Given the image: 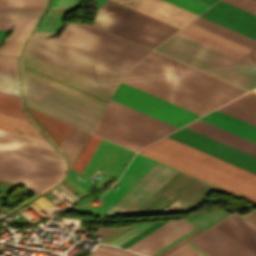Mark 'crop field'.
<instances>
[{
	"label": "crop field",
	"instance_id": "crop-field-9",
	"mask_svg": "<svg viewBox=\"0 0 256 256\" xmlns=\"http://www.w3.org/2000/svg\"><path fill=\"white\" fill-rule=\"evenodd\" d=\"M106 4L169 30L173 33L178 29L152 19L148 16L140 14L122 5L114 3L110 0ZM104 4L97 12L94 25L115 33L119 36L127 38L138 44L154 49L173 33L117 10L113 7Z\"/></svg>",
	"mask_w": 256,
	"mask_h": 256
},
{
	"label": "crop field",
	"instance_id": "crop-field-23",
	"mask_svg": "<svg viewBox=\"0 0 256 256\" xmlns=\"http://www.w3.org/2000/svg\"><path fill=\"white\" fill-rule=\"evenodd\" d=\"M191 23L256 50V41L198 17Z\"/></svg>",
	"mask_w": 256,
	"mask_h": 256
},
{
	"label": "crop field",
	"instance_id": "crop-field-12",
	"mask_svg": "<svg viewBox=\"0 0 256 256\" xmlns=\"http://www.w3.org/2000/svg\"><path fill=\"white\" fill-rule=\"evenodd\" d=\"M140 13L148 15L166 24L174 26L178 29L192 20L197 14L201 13L208 6L201 4L195 0H112Z\"/></svg>",
	"mask_w": 256,
	"mask_h": 256
},
{
	"label": "crop field",
	"instance_id": "crop-field-17",
	"mask_svg": "<svg viewBox=\"0 0 256 256\" xmlns=\"http://www.w3.org/2000/svg\"><path fill=\"white\" fill-rule=\"evenodd\" d=\"M194 227L185 220L177 221L132 250L150 256Z\"/></svg>",
	"mask_w": 256,
	"mask_h": 256
},
{
	"label": "crop field",
	"instance_id": "crop-field-10",
	"mask_svg": "<svg viewBox=\"0 0 256 256\" xmlns=\"http://www.w3.org/2000/svg\"><path fill=\"white\" fill-rule=\"evenodd\" d=\"M112 100L177 128L200 115L121 82Z\"/></svg>",
	"mask_w": 256,
	"mask_h": 256
},
{
	"label": "crop field",
	"instance_id": "crop-field-30",
	"mask_svg": "<svg viewBox=\"0 0 256 256\" xmlns=\"http://www.w3.org/2000/svg\"><path fill=\"white\" fill-rule=\"evenodd\" d=\"M46 0H0V8L43 9Z\"/></svg>",
	"mask_w": 256,
	"mask_h": 256
},
{
	"label": "crop field",
	"instance_id": "crop-field-41",
	"mask_svg": "<svg viewBox=\"0 0 256 256\" xmlns=\"http://www.w3.org/2000/svg\"><path fill=\"white\" fill-rule=\"evenodd\" d=\"M165 223V222H164ZM164 223H158V224H154L151 227L147 228L146 230H144L143 232H141L140 234L136 235L135 237H133L132 239H130L129 241H127L126 243L122 244L121 247H128L129 245L133 244L134 242H136L137 240L141 239L142 237H144L145 235L149 234L150 232H152L153 230L157 229L158 227H160L161 225H163Z\"/></svg>",
	"mask_w": 256,
	"mask_h": 256
},
{
	"label": "crop field",
	"instance_id": "crop-field-28",
	"mask_svg": "<svg viewBox=\"0 0 256 256\" xmlns=\"http://www.w3.org/2000/svg\"><path fill=\"white\" fill-rule=\"evenodd\" d=\"M210 256H231L202 233L190 240Z\"/></svg>",
	"mask_w": 256,
	"mask_h": 256
},
{
	"label": "crop field",
	"instance_id": "crop-field-35",
	"mask_svg": "<svg viewBox=\"0 0 256 256\" xmlns=\"http://www.w3.org/2000/svg\"><path fill=\"white\" fill-rule=\"evenodd\" d=\"M0 137H3V138H7V139H11V140H15V141L27 143V144H30V145H34V146H38V147H42V148H46V149L53 150V149L51 148V146H50L48 143H46V142H42V141H38V140H34V139L22 137V136H19V135H15V134L3 132V131H0Z\"/></svg>",
	"mask_w": 256,
	"mask_h": 256
},
{
	"label": "crop field",
	"instance_id": "crop-field-6",
	"mask_svg": "<svg viewBox=\"0 0 256 256\" xmlns=\"http://www.w3.org/2000/svg\"><path fill=\"white\" fill-rule=\"evenodd\" d=\"M133 67L173 84L194 69L155 52L150 53ZM177 74L179 75L178 77L176 76ZM175 85L220 104L247 92L242 88L234 86L197 69L193 70Z\"/></svg>",
	"mask_w": 256,
	"mask_h": 256
},
{
	"label": "crop field",
	"instance_id": "crop-field-34",
	"mask_svg": "<svg viewBox=\"0 0 256 256\" xmlns=\"http://www.w3.org/2000/svg\"><path fill=\"white\" fill-rule=\"evenodd\" d=\"M41 10L0 9V16L38 18Z\"/></svg>",
	"mask_w": 256,
	"mask_h": 256
},
{
	"label": "crop field",
	"instance_id": "crop-field-2",
	"mask_svg": "<svg viewBox=\"0 0 256 256\" xmlns=\"http://www.w3.org/2000/svg\"><path fill=\"white\" fill-rule=\"evenodd\" d=\"M53 34L34 32L24 51L115 90L125 69L53 38H44Z\"/></svg>",
	"mask_w": 256,
	"mask_h": 256
},
{
	"label": "crop field",
	"instance_id": "crop-field-39",
	"mask_svg": "<svg viewBox=\"0 0 256 256\" xmlns=\"http://www.w3.org/2000/svg\"><path fill=\"white\" fill-rule=\"evenodd\" d=\"M170 256H203L187 243L169 254Z\"/></svg>",
	"mask_w": 256,
	"mask_h": 256
},
{
	"label": "crop field",
	"instance_id": "crop-field-15",
	"mask_svg": "<svg viewBox=\"0 0 256 256\" xmlns=\"http://www.w3.org/2000/svg\"><path fill=\"white\" fill-rule=\"evenodd\" d=\"M177 34L184 36L188 39H191L195 42H198L202 45H205L209 48H212L232 58L238 56L239 54L249 49L247 47H244L240 44H237L235 42L222 38L218 35H215L203 29H200L191 24L187 25ZM235 59L254 67L256 66V51L250 49L245 53L239 55Z\"/></svg>",
	"mask_w": 256,
	"mask_h": 256
},
{
	"label": "crop field",
	"instance_id": "crop-field-14",
	"mask_svg": "<svg viewBox=\"0 0 256 256\" xmlns=\"http://www.w3.org/2000/svg\"><path fill=\"white\" fill-rule=\"evenodd\" d=\"M168 137L256 173V157L186 127Z\"/></svg>",
	"mask_w": 256,
	"mask_h": 256
},
{
	"label": "crop field",
	"instance_id": "crop-field-40",
	"mask_svg": "<svg viewBox=\"0 0 256 256\" xmlns=\"http://www.w3.org/2000/svg\"><path fill=\"white\" fill-rule=\"evenodd\" d=\"M19 44L20 42L5 41L4 45L0 47V54L16 56Z\"/></svg>",
	"mask_w": 256,
	"mask_h": 256
},
{
	"label": "crop field",
	"instance_id": "crop-field-16",
	"mask_svg": "<svg viewBox=\"0 0 256 256\" xmlns=\"http://www.w3.org/2000/svg\"><path fill=\"white\" fill-rule=\"evenodd\" d=\"M200 17L256 40V16L221 1Z\"/></svg>",
	"mask_w": 256,
	"mask_h": 256
},
{
	"label": "crop field",
	"instance_id": "crop-field-50",
	"mask_svg": "<svg viewBox=\"0 0 256 256\" xmlns=\"http://www.w3.org/2000/svg\"><path fill=\"white\" fill-rule=\"evenodd\" d=\"M245 219H247L249 222H251L253 225L256 226V219H254L252 216H250L249 214L244 216Z\"/></svg>",
	"mask_w": 256,
	"mask_h": 256
},
{
	"label": "crop field",
	"instance_id": "crop-field-33",
	"mask_svg": "<svg viewBox=\"0 0 256 256\" xmlns=\"http://www.w3.org/2000/svg\"><path fill=\"white\" fill-rule=\"evenodd\" d=\"M0 144H4V145L16 147V148H20V149H24V150H28V151H32V152H36V153H40V154H44V155H48V156H52V157H56V158H60V156L54 151H50V150H46V149H42V148L30 146V145H26V144H23V143L7 140V139H3V138H0Z\"/></svg>",
	"mask_w": 256,
	"mask_h": 256
},
{
	"label": "crop field",
	"instance_id": "crop-field-20",
	"mask_svg": "<svg viewBox=\"0 0 256 256\" xmlns=\"http://www.w3.org/2000/svg\"><path fill=\"white\" fill-rule=\"evenodd\" d=\"M218 110L256 126V94L252 92H249Z\"/></svg>",
	"mask_w": 256,
	"mask_h": 256
},
{
	"label": "crop field",
	"instance_id": "crop-field-1",
	"mask_svg": "<svg viewBox=\"0 0 256 256\" xmlns=\"http://www.w3.org/2000/svg\"><path fill=\"white\" fill-rule=\"evenodd\" d=\"M139 153L256 203V174L168 137Z\"/></svg>",
	"mask_w": 256,
	"mask_h": 256
},
{
	"label": "crop field",
	"instance_id": "crop-field-56",
	"mask_svg": "<svg viewBox=\"0 0 256 256\" xmlns=\"http://www.w3.org/2000/svg\"><path fill=\"white\" fill-rule=\"evenodd\" d=\"M92 256V255H91Z\"/></svg>",
	"mask_w": 256,
	"mask_h": 256
},
{
	"label": "crop field",
	"instance_id": "crop-field-57",
	"mask_svg": "<svg viewBox=\"0 0 256 256\" xmlns=\"http://www.w3.org/2000/svg\"><path fill=\"white\" fill-rule=\"evenodd\" d=\"M169 256V255H168Z\"/></svg>",
	"mask_w": 256,
	"mask_h": 256
},
{
	"label": "crop field",
	"instance_id": "crop-field-13",
	"mask_svg": "<svg viewBox=\"0 0 256 256\" xmlns=\"http://www.w3.org/2000/svg\"><path fill=\"white\" fill-rule=\"evenodd\" d=\"M63 171L1 156L0 179L21 184L39 193L56 183Z\"/></svg>",
	"mask_w": 256,
	"mask_h": 256
},
{
	"label": "crop field",
	"instance_id": "crop-field-26",
	"mask_svg": "<svg viewBox=\"0 0 256 256\" xmlns=\"http://www.w3.org/2000/svg\"><path fill=\"white\" fill-rule=\"evenodd\" d=\"M207 237H209L211 240H213L215 243H217L219 246H221L223 249H225L227 252H229L233 256H250L245 251H243L241 248H239L237 245L232 243L230 240H228L226 237H224L222 234H220L218 231H216L214 228H209L202 232Z\"/></svg>",
	"mask_w": 256,
	"mask_h": 256
},
{
	"label": "crop field",
	"instance_id": "crop-field-31",
	"mask_svg": "<svg viewBox=\"0 0 256 256\" xmlns=\"http://www.w3.org/2000/svg\"><path fill=\"white\" fill-rule=\"evenodd\" d=\"M16 90H18L17 77L0 72V92L19 97V92Z\"/></svg>",
	"mask_w": 256,
	"mask_h": 256
},
{
	"label": "crop field",
	"instance_id": "crop-field-29",
	"mask_svg": "<svg viewBox=\"0 0 256 256\" xmlns=\"http://www.w3.org/2000/svg\"><path fill=\"white\" fill-rule=\"evenodd\" d=\"M238 215V214H237ZM235 213L225 219L228 224L246 236L249 240L256 244V229L237 216Z\"/></svg>",
	"mask_w": 256,
	"mask_h": 256
},
{
	"label": "crop field",
	"instance_id": "crop-field-44",
	"mask_svg": "<svg viewBox=\"0 0 256 256\" xmlns=\"http://www.w3.org/2000/svg\"><path fill=\"white\" fill-rule=\"evenodd\" d=\"M200 232H202V230H197L196 232L192 233L191 235H189L188 237L184 238L183 240H181L180 242L176 243L175 245H173L172 247H170L169 249L165 250L164 252H162L161 254L157 255V256H164L167 253H169L170 251L174 250L175 248H177L178 246L182 245L183 243H185L186 241H188L189 239H191L192 237L196 236L197 234H199Z\"/></svg>",
	"mask_w": 256,
	"mask_h": 256
},
{
	"label": "crop field",
	"instance_id": "crop-field-4",
	"mask_svg": "<svg viewBox=\"0 0 256 256\" xmlns=\"http://www.w3.org/2000/svg\"><path fill=\"white\" fill-rule=\"evenodd\" d=\"M155 50L247 90L256 86L253 67L177 34Z\"/></svg>",
	"mask_w": 256,
	"mask_h": 256
},
{
	"label": "crop field",
	"instance_id": "crop-field-38",
	"mask_svg": "<svg viewBox=\"0 0 256 256\" xmlns=\"http://www.w3.org/2000/svg\"><path fill=\"white\" fill-rule=\"evenodd\" d=\"M68 177L71 178L76 184H78L82 189L87 192L91 181H89L71 168Z\"/></svg>",
	"mask_w": 256,
	"mask_h": 256
},
{
	"label": "crop field",
	"instance_id": "crop-field-36",
	"mask_svg": "<svg viewBox=\"0 0 256 256\" xmlns=\"http://www.w3.org/2000/svg\"><path fill=\"white\" fill-rule=\"evenodd\" d=\"M0 71L17 76V58L0 56Z\"/></svg>",
	"mask_w": 256,
	"mask_h": 256
},
{
	"label": "crop field",
	"instance_id": "crop-field-8",
	"mask_svg": "<svg viewBox=\"0 0 256 256\" xmlns=\"http://www.w3.org/2000/svg\"><path fill=\"white\" fill-rule=\"evenodd\" d=\"M26 104L90 132L102 108L24 75Z\"/></svg>",
	"mask_w": 256,
	"mask_h": 256
},
{
	"label": "crop field",
	"instance_id": "crop-field-3",
	"mask_svg": "<svg viewBox=\"0 0 256 256\" xmlns=\"http://www.w3.org/2000/svg\"><path fill=\"white\" fill-rule=\"evenodd\" d=\"M175 172L174 169L137 155L116 184L119 187L114 190L115 185L105 195L102 215L132 214Z\"/></svg>",
	"mask_w": 256,
	"mask_h": 256
},
{
	"label": "crop field",
	"instance_id": "crop-field-51",
	"mask_svg": "<svg viewBox=\"0 0 256 256\" xmlns=\"http://www.w3.org/2000/svg\"><path fill=\"white\" fill-rule=\"evenodd\" d=\"M197 1H199V2H201V3H204V4L208 5V6H210V5H212L214 2H216L217 0H197Z\"/></svg>",
	"mask_w": 256,
	"mask_h": 256
},
{
	"label": "crop field",
	"instance_id": "crop-field-43",
	"mask_svg": "<svg viewBox=\"0 0 256 256\" xmlns=\"http://www.w3.org/2000/svg\"><path fill=\"white\" fill-rule=\"evenodd\" d=\"M98 249L108 251V252H111V253H114V254H117V255H120V256H141V255H137V254L127 252V251H124V250H119V249L106 247V246L99 247Z\"/></svg>",
	"mask_w": 256,
	"mask_h": 256
},
{
	"label": "crop field",
	"instance_id": "crop-field-21",
	"mask_svg": "<svg viewBox=\"0 0 256 256\" xmlns=\"http://www.w3.org/2000/svg\"><path fill=\"white\" fill-rule=\"evenodd\" d=\"M0 130L45 141L27 120L0 114Z\"/></svg>",
	"mask_w": 256,
	"mask_h": 256
},
{
	"label": "crop field",
	"instance_id": "crop-field-11",
	"mask_svg": "<svg viewBox=\"0 0 256 256\" xmlns=\"http://www.w3.org/2000/svg\"><path fill=\"white\" fill-rule=\"evenodd\" d=\"M123 82L142 89L200 115L220 104L172 85L133 67L128 69Z\"/></svg>",
	"mask_w": 256,
	"mask_h": 256
},
{
	"label": "crop field",
	"instance_id": "crop-field-54",
	"mask_svg": "<svg viewBox=\"0 0 256 256\" xmlns=\"http://www.w3.org/2000/svg\"><path fill=\"white\" fill-rule=\"evenodd\" d=\"M252 91L256 93V89H254V90H252Z\"/></svg>",
	"mask_w": 256,
	"mask_h": 256
},
{
	"label": "crop field",
	"instance_id": "crop-field-22",
	"mask_svg": "<svg viewBox=\"0 0 256 256\" xmlns=\"http://www.w3.org/2000/svg\"><path fill=\"white\" fill-rule=\"evenodd\" d=\"M28 108V107H27ZM32 117L37 121V123L46 131V133L55 141L59 146L62 142L69 125L48 117L42 113L28 108Z\"/></svg>",
	"mask_w": 256,
	"mask_h": 256
},
{
	"label": "crop field",
	"instance_id": "crop-field-55",
	"mask_svg": "<svg viewBox=\"0 0 256 256\" xmlns=\"http://www.w3.org/2000/svg\"><path fill=\"white\" fill-rule=\"evenodd\" d=\"M253 1H255V2H256V0H253Z\"/></svg>",
	"mask_w": 256,
	"mask_h": 256
},
{
	"label": "crop field",
	"instance_id": "crop-field-24",
	"mask_svg": "<svg viewBox=\"0 0 256 256\" xmlns=\"http://www.w3.org/2000/svg\"><path fill=\"white\" fill-rule=\"evenodd\" d=\"M87 134H88L87 132L71 126L66 137L64 138L60 148L66 154L69 160L70 166L75 156L77 155L81 145L83 144Z\"/></svg>",
	"mask_w": 256,
	"mask_h": 256
},
{
	"label": "crop field",
	"instance_id": "crop-field-7",
	"mask_svg": "<svg viewBox=\"0 0 256 256\" xmlns=\"http://www.w3.org/2000/svg\"><path fill=\"white\" fill-rule=\"evenodd\" d=\"M55 39L125 69L150 51L93 25H67Z\"/></svg>",
	"mask_w": 256,
	"mask_h": 256
},
{
	"label": "crop field",
	"instance_id": "crop-field-48",
	"mask_svg": "<svg viewBox=\"0 0 256 256\" xmlns=\"http://www.w3.org/2000/svg\"><path fill=\"white\" fill-rule=\"evenodd\" d=\"M92 254L96 255V256H117V255L107 253V252H104V251H101V250H98V249H96Z\"/></svg>",
	"mask_w": 256,
	"mask_h": 256
},
{
	"label": "crop field",
	"instance_id": "crop-field-46",
	"mask_svg": "<svg viewBox=\"0 0 256 256\" xmlns=\"http://www.w3.org/2000/svg\"><path fill=\"white\" fill-rule=\"evenodd\" d=\"M116 229L100 227L94 234L102 236V237H105V236H107L108 234H110L111 232H113Z\"/></svg>",
	"mask_w": 256,
	"mask_h": 256
},
{
	"label": "crop field",
	"instance_id": "crop-field-45",
	"mask_svg": "<svg viewBox=\"0 0 256 256\" xmlns=\"http://www.w3.org/2000/svg\"><path fill=\"white\" fill-rule=\"evenodd\" d=\"M73 211L100 215L101 209L80 207L78 209H74Z\"/></svg>",
	"mask_w": 256,
	"mask_h": 256
},
{
	"label": "crop field",
	"instance_id": "crop-field-52",
	"mask_svg": "<svg viewBox=\"0 0 256 256\" xmlns=\"http://www.w3.org/2000/svg\"><path fill=\"white\" fill-rule=\"evenodd\" d=\"M8 31H0V40L3 36L7 34Z\"/></svg>",
	"mask_w": 256,
	"mask_h": 256
},
{
	"label": "crop field",
	"instance_id": "crop-field-19",
	"mask_svg": "<svg viewBox=\"0 0 256 256\" xmlns=\"http://www.w3.org/2000/svg\"><path fill=\"white\" fill-rule=\"evenodd\" d=\"M186 127L256 156V144L197 120Z\"/></svg>",
	"mask_w": 256,
	"mask_h": 256
},
{
	"label": "crop field",
	"instance_id": "crop-field-18",
	"mask_svg": "<svg viewBox=\"0 0 256 256\" xmlns=\"http://www.w3.org/2000/svg\"><path fill=\"white\" fill-rule=\"evenodd\" d=\"M200 120L256 143V127L218 110Z\"/></svg>",
	"mask_w": 256,
	"mask_h": 256
},
{
	"label": "crop field",
	"instance_id": "crop-field-47",
	"mask_svg": "<svg viewBox=\"0 0 256 256\" xmlns=\"http://www.w3.org/2000/svg\"><path fill=\"white\" fill-rule=\"evenodd\" d=\"M172 222H167L165 225H163L162 227H160L159 229L155 230L154 232H152L151 234H149L148 236H146L145 238H143L142 240H140L139 242L135 243L134 245H132L131 247L127 248V249H132L133 247H135L136 245H138L139 243L143 242L144 240H146L147 238H149L150 236H152L153 234H155L156 232H158L159 230L163 229L164 227H166L167 225H169Z\"/></svg>",
	"mask_w": 256,
	"mask_h": 256
},
{
	"label": "crop field",
	"instance_id": "crop-field-37",
	"mask_svg": "<svg viewBox=\"0 0 256 256\" xmlns=\"http://www.w3.org/2000/svg\"><path fill=\"white\" fill-rule=\"evenodd\" d=\"M240 9L256 15V3L249 0H222Z\"/></svg>",
	"mask_w": 256,
	"mask_h": 256
},
{
	"label": "crop field",
	"instance_id": "crop-field-42",
	"mask_svg": "<svg viewBox=\"0 0 256 256\" xmlns=\"http://www.w3.org/2000/svg\"><path fill=\"white\" fill-rule=\"evenodd\" d=\"M80 0H53L51 8H75Z\"/></svg>",
	"mask_w": 256,
	"mask_h": 256
},
{
	"label": "crop field",
	"instance_id": "crop-field-32",
	"mask_svg": "<svg viewBox=\"0 0 256 256\" xmlns=\"http://www.w3.org/2000/svg\"><path fill=\"white\" fill-rule=\"evenodd\" d=\"M225 216H227V215L223 211H220V212H215V213L199 216L197 218L188 219V221L205 229V228L211 226L212 224L216 223L220 219L224 218Z\"/></svg>",
	"mask_w": 256,
	"mask_h": 256
},
{
	"label": "crop field",
	"instance_id": "crop-field-25",
	"mask_svg": "<svg viewBox=\"0 0 256 256\" xmlns=\"http://www.w3.org/2000/svg\"><path fill=\"white\" fill-rule=\"evenodd\" d=\"M36 19L24 18H0V30H10L15 23L14 30L10 36L4 40L22 41Z\"/></svg>",
	"mask_w": 256,
	"mask_h": 256
},
{
	"label": "crop field",
	"instance_id": "crop-field-49",
	"mask_svg": "<svg viewBox=\"0 0 256 256\" xmlns=\"http://www.w3.org/2000/svg\"><path fill=\"white\" fill-rule=\"evenodd\" d=\"M61 188L65 193H67L71 198H73L75 201L78 199L75 195H73L67 188H65L62 184L58 186Z\"/></svg>",
	"mask_w": 256,
	"mask_h": 256
},
{
	"label": "crop field",
	"instance_id": "crop-field-53",
	"mask_svg": "<svg viewBox=\"0 0 256 256\" xmlns=\"http://www.w3.org/2000/svg\"><path fill=\"white\" fill-rule=\"evenodd\" d=\"M106 0H97L98 8L105 2Z\"/></svg>",
	"mask_w": 256,
	"mask_h": 256
},
{
	"label": "crop field",
	"instance_id": "crop-field-5",
	"mask_svg": "<svg viewBox=\"0 0 256 256\" xmlns=\"http://www.w3.org/2000/svg\"><path fill=\"white\" fill-rule=\"evenodd\" d=\"M101 120L151 142L177 129L112 100H110ZM101 120H99L92 133L136 152L151 143Z\"/></svg>",
	"mask_w": 256,
	"mask_h": 256
},
{
	"label": "crop field",
	"instance_id": "crop-field-27",
	"mask_svg": "<svg viewBox=\"0 0 256 256\" xmlns=\"http://www.w3.org/2000/svg\"><path fill=\"white\" fill-rule=\"evenodd\" d=\"M0 113L27 119L22 113L19 98L0 93Z\"/></svg>",
	"mask_w": 256,
	"mask_h": 256
}]
</instances>
